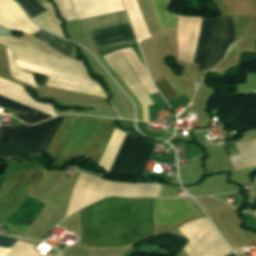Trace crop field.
<instances>
[{
  "mask_svg": "<svg viewBox=\"0 0 256 256\" xmlns=\"http://www.w3.org/2000/svg\"><path fill=\"white\" fill-rule=\"evenodd\" d=\"M90 32L97 47L135 39L129 23L92 30ZM120 52L145 88L148 95L157 92V89L152 84L145 67L132 47L121 49Z\"/></svg>",
  "mask_w": 256,
  "mask_h": 256,
  "instance_id": "6",
  "label": "crop field"
},
{
  "mask_svg": "<svg viewBox=\"0 0 256 256\" xmlns=\"http://www.w3.org/2000/svg\"><path fill=\"white\" fill-rule=\"evenodd\" d=\"M65 21L79 18L71 0H53Z\"/></svg>",
  "mask_w": 256,
  "mask_h": 256,
  "instance_id": "18",
  "label": "crop field"
},
{
  "mask_svg": "<svg viewBox=\"0 0 256 256\" xmlns=\"http://www.w3.org/2000/svg\"><path fill=\"white\" fill-rule=\"evenodd\" d=\"M35 1L38 2L39 4H44L49 2V0H35Z\"/></svg>",
  "mask_w": 256,
  "mask_h": 256,
  "instance_id": "23",
  "label": "crop field"
},
{
  "mask_svg": "<svg viewBox=\"0 0 256 256\" xmlns=\"http://www.w3.org/2000/svg\"><path fill=\"white\" fill-rule=\"evenodd\" d=\"M44 153V152H42ZM41 153V154H42ZM41 154H35V155H27V156H19V157H11V158H0V160H10V159H15V158H23V157H36V156H40Z\"/></svg>",
  "mask_w": 256,
  "mask_h": 256,
  "instance_id": "22",
  "label": "crop field"
},
{
  "mask_svg": "<svg viewBox=\"0 0 256 256\" xmlns=\"http://www.w3.org/2000/svg\"><path fill=\"white\" fill-rule=\"evenodd\" d=\"M126 133L115 128L98 166L109 172Z\"/></svg>",
  "mask_w": 256,
  "mask_h": 256,
  "instance_id": "14",
  "label": "crop field"
},
{
  "mask_svg": "<svg viewBox=\"0 0 256 256\" xmlns=\"http://www.w3.org/2000/svg\"><path fill=\"white\" fill-rule=\"evenodd\" d=\"M0 24L30 35L40 29L25 16L13 0H0Z\"/></svg>",
  "mask_w": 256,
  "mask_h": 256,
  "instance_id": "12",
  "label": "crop field"
},
{
  "mask_svg": "<svg viewBox=\"0 0 256 256\" xmlns=\"http://www.w3.org/2000/svg\"><path fill=\"white\" fill-rule=\"evenodd\" d=\"M114 246L153 233V198L110 197ZM108 198L79 211L81 247L113 246Z\"/></svg>",
  "mask_w": 256,
  "mask_h": 256,
  "instance_id": "1",
  "label": "crop field"
},
{
  "mask_svg": "<svg viewBox=\"0 0 256 256\" xmlns=\"http://www.w3.org/2000/svg\"><path fill=\"white\" fill-rule=\"evenodd\" d=\"M6 49L8 54V61H9L11 75L27 84L38 87V84L32 74H29L27 72H24L22 70L15 68L12 50H10L11 48L10 49L6 48Z\"/></svg>",
  "mask_w": 256,
  "mask_h": 256,
  "instance_id": "17",
  "label": "crop field"
},
{
  "mask_svg": "<svg viewBox=\"0 0 256 256\" xmlns=\"http://www.w3.org/2000/svg\"><path fill=\"white\" fill-rule=\"evenodd\" d=\"M45 170L9 174L0 192V205L18 211L31 190L44 179Z\"/></svg>",
  "mask_w": 256,
  "mask_h": 256,
  "instance_id": "9",
  "label": "crop field"
},
{
  "mask_svg": "<svg viewBox=\"0 0 256 256\" xmlns=\"http://www.w3.org/2000/svg\"><path fill=\"white\" fill-rule=\"evenodd\" d=\"M77 118L78 116L75 115H67L62 121L61 126L52 138L46 151L50 157L55 159L57 153L59 152L62 144L64 143Z\"/></svg>",
  "mask_w": 256,
  "mask_h": 256,
  "instance_id": "13",
  "label": "crop field"
},
{
  "mask_svg": "<svg viewBox=\"0 0 256 256\" xmlns=\"http://www.w3.org/2000/svg\"><path fill=\"white\" fill-rule=\"evenodd\" d=\"M65 115L28 126L0 127V157L41 153Z\"/></svg>",
  "mask_w": 256,
  "mask_h": 256,
  "instance_id": "3",
  "label": "crop field"
},
{
  "mask_svg": "<svg viewBox=\"0 0 256 256\" xmlns=\"http://www.w3.org/2000/svg\"><path fill=\"white\" fill-rule=\"evenodd\" d=\"M107 62H109L122 76V78L129 84L131 87L132 91L139 97L143 108H144V118H143V109L140 101L138 100L137 96L131 91L129 88L128 84L121 78V76L118 74V72ZM102 58L100 61L104 65L106 69L111 71L115 78L118 80V82L121 84V86L124 88V90L127 92V94L131 97V99L134 101V103L137 106V112L138 116L137 119L148 121L149 122V117H148V105H152L153 102L129 68L128 64L122 57L121 53L119 50L105 56Z\"/></svg>",
  "mask_w": 256,
  "mask_h": 256,
  "instance_id": "7",
  "label": "crop field"
},
{
  "mask_svg": "<svg viewBox=\"0 0 256 256\" xmlns=\"http://www.w3.org/2000/svg\"><path fill=\"white\" fill-rule=\"evenodd\" d=\"M0 95L11 98L53 116H56L52 106L50 104H40L33 100L27 93L26 89L14 82L3 79L0 77ZM0 96V106L4 108H8L11 110L17 111L16 116L21 121L29 124H35L40 121L46 120L53 116L18 103L16 101L10 100Z\"/></svg>",
  "mask_w": 256,
  "mask_h": 256,
  "instance_id": "5",
  "label": "crop field"
},
{
  "mask_svg": "<svg viewBox=\"0 0 256 256\" xmlns=\"http://www.w3.org/2000/svg\"><path fill=\"white\" fill-rule=\"evenodd\" d=\"M154 84L165 97V99L178 96V93L175 91L165 76L154 82Z\"/></svg>",
  "mask_w": 256,
  "mask_h": 256,
  "instance_id": "20",
  "label": "crop field"
},
{
  "mask_svg": "<svg viewBox=\"0 0 256 256\" xmlns=\"http://www.w3.org/2000/svg\"><path fill=\"white\" fill-rule=\"evenodd\" d=\"M16 1L22 6V8L25 10L28 16L31 18L47 11L41 5L36 3L34 0H16Z\"/></svg>",
  "mask_w": 256,
  "mask_h": 256,
  "instance_id": "19",
  "label": "crop field"
},
{
  "mask_svg": "<svg viewBox=\"0 0 256 256\" xmlns=\"http://www.w3.org/2000/svg\"><path fill=\"white\" fill-rule=\"evenodd\" d=\"M114 128L112 120L79 116L56 160L87 156L99 162Z\"/></svg>",
  "mask_w": 256,
  "mask_h": 256,
  "instance_id": "2",
  "label": "crop field"
},
{
  "mask_svg": "<svg viewBox=\"0 0 256 256\" xmlns=\"http://www.w3.org/2000/svg\"><path fill=\"white\" fill-rule=\"evenodd\" d=\"M17 67L24 68L30 71H34L40 74L49 76L45 85L57 87L61 89L91 94L100 97H106L103 90L94 82L81 79L75 76L57 72L51 69L26 63L15 59Z\"/></svg>",
  "mask_w": 256,
  "mask_h": 256,
  "instance_id": "10",
  "label": "crop field"
},
{
  "mask_svg": "<svg viewBox=\"0 0 256 256\" xmlns=\"http://www.w3.org/2000/svg\"><path fill=\"white\" fill-rule=\"evenodd\" d=\"M215 20L216 18H203L202 20L194 61L199 64L198 71L207 67ZM233 43H235V16L217 18L207 69L216 65Z\"/></svg>",
  "mask_w": 256,
  "mask_h": 256,
  "instance_id": "4",
  "label": "crop field"
},
{
  "mask_svg": "<svg viewBox=\"0 0 256 256\" xmlns=\"http://www.w3.org/2000/svg\"><path fill=\"white\" fill-rule=\"evenodd\" d=\"M198 215L185 197L176 199L154 198V224H177Z\"/></svg>",
  "mask_w": 256,
  "mask_h": 256,
  "instance_id": "11",
  "label": "crop field"
},
{
  "mask_svg": "<svg viewBox=\"0 0 256 256\" xmlns=\"http://www.w3.org/2000/svg\"><path fill=\"white\" fill-rule=\"evenodd\" d=\"M156 9L158 18L160 20L163 31H167L176 28L177 16L165 13L169 3L167 0H152Z\"/></svg>",
  "mask_w": 256,
  "mask_h": 256,
  "instance_id": "15",
  "label": "crop field"
},
{
  "mask_svg": "<svg viewBox=\"0 0 256 256\" xmlns=\"http://www.w3.org/2000/svg\"><path fill=\"white\" fill-rule=\"evenodd\" d=\"M228 256H236V254H235V253H233V254H231V255H228Z\"/></svg>",
  "mask_w": 256,
  "mask_h": 256,
  "instance_id": "24",
  "label": "crop field"
},
{
  "mask_svg": "<svg viewBox=\"0 0 256 256\" xmlns=\"http://www.w3.org/2000/svg\"><path fill=\"white\" fill-rule=\"evenodd\" d=\"M18 238H12L0 235V245L14 246L18 241ZM8 246H0V256H5V254L12 248Z\"/></svg>",
  "mask_w": 256,
  "mask_h": 256,
  "instance_id": "21",
  "label": "crop field"
},
{
  "mask_svg": "<svg viewBox=\"0 0 256 256\" xmlns=\"http://www.w3.org/2000/svg\"><path fill=\"white\" fill-rule=\"evenodd\" d=\"M35 37L39 38L43 42L47 43L51 47L55 48L59 52L63 53L66 56H69L72 46L68 45L67 43L63 42L59 38L48 34L42 30L33 34Z\"/></svg>",
  "mask_w": 256,
  "mask_h": 256,
  "instance_id": "16",
  "label": "crop field"
},
{
  "mask_svg": "<svg viewBox=\"0 0 256 256\" xmlns=\"http://www.w3.org/2000/svg\"><path fill=\"white\" fill-rule=\"evenodd\" d=\"M154 144L127 135L110 173L132 176L141 175Z\"/></svg>",
  "mask_w": 256,
  "mask_h": 256,
  "instance_id": "8",
  "label": "crop field"
}]
</instances>
